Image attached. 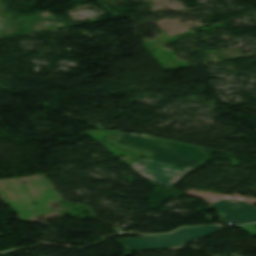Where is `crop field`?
<instances>
[{
    "mask_svg": "<svg viewBox=\"0 0 256 256\" xmlns=\"http://www.w3.org/2000/svg\"><path fill=\"white\" fill-rule=\"evenodd\" d=\"M106 142L149 157L131 167L141 176L172 187L195 170L213 151L143 135L110 132Z\"/></svg>",
    "mask_w": 256,
    "mask_h": 256,
    "instance_id": "1",
    "label": "crop field"
},
{
    "mask_svg": "<svg viewBox=\"0 0 256 256\" xmlns=\"http://www.w3.org/2000/svg\"><path fill=\"white\" fill-rule=\"evenodd\" d=\"M217 229V225L187 227L181 228L172 234L119 239L116 241L130 251L185 246L188 242L198 237H206Z\"/></svg>",
    "mask_w": 256,
    "mask_h": 256,
    "instance_id": "2",
    "label": "crop field"
},
{
    "mask_svg": "<svg viewBox=\"0 0 256 256\" xmlns=\"http://www.w3.org/2000/svg\"><path fill=\"white\" fill-rule=\"evenodd\" d=\"M222 216L221 223L234 221L237 224L256 221V207L245 202H232L228 199L210 204Z\"/></svg>",
    "mask_w": 256,
    "mask_h": 256,
    "instance_id": "3",
    "label": "crop field"
},
{
    "mask_svg": "<svg viewBox=\"0 0 256 256\" xmlns=\"http://www.w3.org/2000/svg\"><path fill=\"white\" fill-rule=\"evenodd\" d=\"M239 228L248 232L251 236L256 235V224L240 226Z\"/></svg>",
    "mask_w": 256,
    "mask_h": 256,
    "instance_id": "4",
    "label": "crop field"
}]
</instances>
